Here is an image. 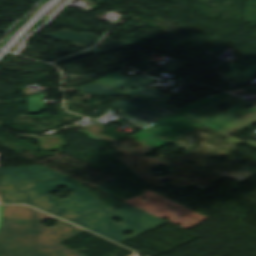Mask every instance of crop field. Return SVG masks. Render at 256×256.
Returning a JSON list of instances; mask_svg holds the SVG:
<instances>
[{"label":"crop field","instance_id":"8a807250","mask_svg":"<svg viewBox=\"0 0 256 256\" xmlns=\"http://www.w3.org/2000/svg\"><path fill=\"white\" fill-rule=\"evenodd\" d=\"M59 186H65L75 194L66 200L48 194ZM0 192L4 203L31 204L117 242L151 229L107 209V206L82 187V183L67 177L2 186ZM115 217L123 222H112L111 219ZM126 231H131V235L125 237L121 234Z\"/></svg>","mask_w":256,"mask_h":256},{"label":"crop field","instance_id":"ac0d7876","mask_svg":"<svg viewBox=\"0 0 256 256\" xmlns=\"http://www.w3.org/2000/svg\"><path fill=\"white\" fill-rule=\"evenodd\" d=\"M45 219L58 224L48 228ZM85 232L28 206H5L0 248L17 256H86L59 244Z\"/></svg>","mask_w":256,"mask_h":256},{"label":"crop field","instance_id":"34b2d1b8","mask_svg":"<svg viewBox=\"0 0 256 256\" xmlns=\"http://www.w3.org/2000/svg\"><path fill=\"white\" fill-rule=\"evenodd\" d=\"M225 136L207 127H203L191 134L174 142L180 149L187 154L180 160L195 161L194 165L202 167L214 174L231 168L239 162L231 159L223 164H218L210 160L211 157L228 156L235 152V145L222 140ZM256 174V161L232 168L219 176L245 181Z\"/></svg>","mask_w":256,"mask_h":256},{"label":"crop field","instance_id":"412701ff","mask_svg":"<svg viewBox=\"0 0 256 256\" xmlns=\"http://www.w3.org/2000/svg\"><path fill=\"white\" fill-rule=\"evenodd\" d=\"M112 148L116 149V152L123 155L121 157H118L119 160H121L128 168H130L137 176L143 179L146 183L154 185L155 188L165 186L160 183L162 180H171L170 185L175 188L186 189L191 186H194L203 191L211 187L213 183L221 179L202 169L188 172L158 158L143 157L140 155H136L117 145L113 146ZM158 165L167 168L170 174L155 177L151 171ZM181 177H186L188 178V180L184 182L180 180ZM192 182L197 183V185H192Z\"/></svg>","mask_w":256,"mask_h":256},{"label":"crop field","instance_id":"f4fd0767","mask_svg":"<svg viewBox=\"0 0 256 256\" xmlns=\"http://www.w3.org/2000/svg\"><path fill=\"white\" fill-rule=\"evenodd\" d=\"M226 103L232 105L233 109L223 113L219 112L217 107ZM250 105L247 102L229 96L186 116L229 136L231 130L238 126L256 123V107L249 110L245 109Z\"/></svg>","mask_w":256,"mask_h":256},{"label":"crop field","instance_id":"dd49c442","mask_svg":"<svg viewBox=\"0 0 256 256\" xmlns=\"http://www.w3.org/2000/svg\"><path fill=\"white\" fill-rule=\"evenodd\" d=\"M116 106L124 109L120 116L143 129L172 113L138 97L127 102L118 101Z\"/></svg>","mask_w":256,"mask_h":256},{"label":"crop field","instance_id":"e52e79f7","mask_svg":"<svg viewBox=\"0 0 256 256\" xmlns=\"http://www.w3.org/2000/svg\"><path fill=\"white\" fill-rule=\"evenodd\" d=\"M98 81H100V82H102V83H104V84L124 93V94L135 93V94H137L143 98H146L152 102L160 100V101H163L168 104L169 102H167V101L169 99H171V97H169V96H166L160 92H157L155 90H152V89L146 87L150 84H153L154 80L151 78H148L144 75L128 78V77L122 76L121 72H117V73H112L110 75H107ZM121 86L128 87V89L125 92L117 89ZM132 86H136L138 89L134 91L131 89Z\"/></svg>","mask_w":256,"mask_h":256},{"label":"crop field","instance_id":"d8731c3e","mask_svg":"<svg viewBox=\"0 0 256 256\" xmlns=\"http://www.w3.org/2000/svg\"><path fill=\"white\" fill-rule=\"evenodd\" d=\"M200 126L202 125L173 113L144 130L174 141Z\"/></svg>","mask_w":256,"mask_h":256},{"label":"crop field","instance_id":"5a996713","mask_svg":"<svg viewBox=\"0 0 256 256\" xmlns=\"http://www.w3.org/2000/svg\"><path fill=\"white\" fill-rule=\"evenodd\" d=\"M62 176L64 175L45 166H25L0 169V186Z\"/></svg>","mask_w":256,"mask_h":256},{"label":"crop field","instance_id":"3316defc","mask_svg":"<svg viewBox=\"0 0 256 256\" xmlns=\"http://www.w3.org/2000/svg\"><path fill=\"white\" fill-rule=\"evenodd\" d=\"M117 213H120L130 219H133L137 222H140L144 225H147L151 228H154L156 226L162 225L164 223H167L155 216H152L140 209H137L125 202H122L118 205H115L111 208H109Z\"/></svg>","mask_w":256,"mask_h":256},{"label":"crop field","instance_id":"28ad6ade","mask_svg":"<svg viewBox=\"0 0 256 256\" xmlns=\"http://www.w3.org/2000/svg\"><path fill=\"white\" fill-rule=\"evenodd\" d=\"M104 128H105V127H104L103 124L98 123V124H96L95 126L89 128V129H87V130H88V131H91V132H94V133H96V134L102 135V134H100V133L103 132ZM78 132L83 133V134H86V135H88L91 139L96 140V141H99V140H106V141H109V140H107V139H104V138L99 137V136H97V135H94V134H92V133H89V132H87V131H85V130H83V129L79 130ZM102 136L107 137V136H105V135H102ZM107 138H110V137H107ZM110 139H112V138H110ZM112 140H115V139H112ZM115 141H117V140H115ZM110 142H112V141H110ZM117 142H119V144H118L119 146H121V147H123V148H126V149H129V150H131V151L137 152V153H139V154H141V155H145V154H147V153H149V152H151V151H153V150H156V149H154V148H152V147H149V146H147V145H145V144H142V143H140V142H138V141H135V140H133V139H131V138H128V139H126V140H124V141H122V142H120V141H117ZM117 142H116V143H117ZM112 143H114V142H112ZM116 143H114V144H116Z\"/></svg>","mask_w":256,"mask_h":256},{"label":"crop field","instance_id":"d1516ede","mask_svg":"<svg viewBox=\"0 0 256 256\" xmlns=\"http://www.w3.org/2000/svg\"><path fill=\"white\" fill-rule=\"evenodd\" d=\"M47 37L74 41V42H78V43H82L90 46H93L100 39L88 32L77 34L69 29H66L51 35H47Z\"/></svg>","mask_w":256,"mask_h":256},{"label":"crop field","instance_id":"22f410ed","mask_svg":"<svg viewBox=\"0 0 256 256\" xmlns=\"http://www.w3.org/2000/svg\"><path fill=\"white\" fill-rule=\"evenodd\" d=\"M229 68L232 71L225 74V76L239 83H243L256 75V65L248 67L244 72L238 70L236 64H229Z\"/></svg>","mask_w":256,"mask_h":256},{"label":"crop field","instance_id":"cbeb9de0","mask_svg":"<svg viewBox=\"0 0 256 256\" xmlns=\"http://www.w3.org/2000/svg\"><path fill=\"white\" fill-rule=\"evenodd\" d=\"M131 138H133L135 140H138L142 143H145L149 146H152L156 149L170 143V142H168V141H166V140H164V139H162V138H160L156 135H153L149 132H146L144 130H142V131L136 133L135 135L131 136Z\"/></svg>","mask_w":256,"mask_h":256},{"label":"crop field","instance_id":"5142ce71","mask_svg":"<svg viewBox=\"0 0 256 256\" xmlns=\"http://www.w3.org/2000/svg\"><path fill=\"white\" fill-rule=\"evenodd\" d=\"M227 95H229V94L224 93V94H222V95H220V96H218V97L211 96V97H208V98H206V99H204V100H202V101H200V102H198V103H196V104H193V105H191V106H188V107H186V108H183V109H181V110H178V109H176V108H174V107H171V106H169V105H166V104H164V103H162V102H160V101H157V102H155V103H157V104H159V105H161V106H164V107H166V108H168V109H170V110H172V111H175V112H177V113H179V114H181V115H184V114H186V113H188V112H190V111H193V110H195V109H197V108H200V107H202V106H204V105H206V104H209V103H211V102H213V101H216V100H218V99H220V98H222V97H225V96H227Z\"/></svg>","mask_w":256,"mask_h":256},{"label":"crop field","instance_id":"d9b57169","mask_svg":"<svg viewBox=\"0 0 256 256\" xmlns=\"http://www.w3.org/2000/svg\"><path fill=\"white\" fill-rule=\"evenodd\" d=\"M17 137L36 138L39 140L42 148H44L46 150H57V149L65 146L64 141L62 139H59L61 136H55V137L17 136Z\"/></svg>","mask_w":256,"mask_h":256},{"label":"crop field","instance_id":"733c2abd","mask_svg":"<svg viewBox=\"0 0 256 256\" xmlns=\"http://www.w3.org/2000/svg\"><path fill=\"white\" fill-rule=\"evenodd\" d=\"M44 97H46L45 93L26 99L29 113H37L45 109V103L42 102Z\"/></svg>","mask_w":256,"mask_h":256},{"label":"crop field","instance_id":"4a817a6b","mask_svg":"<svg viewBox=\"0 0 256 256\" xmlns=\"http://www.w3.org/2000/svg\"><path fill=\"white\" fill-rule=\"evenodd\" d=\"M82 90L87 92L96 93L97 95H120V93L109 89L99 83L91 84L89 86H86L82 88Z\"/></svg>","mask_w":256,"mask_h":256},{"label":"crop field","instance_id":"bc2a9ffb","mask_svg":"<svg viewBox=\"0 0 256 256\" xmlns=\"http://www.w3.org/2000/svg\"><path fill=\"white\" fill-rule=\"evenodd\" d=\"M104 39H106L110 43L105 44V45H99L97 47L104 48V49L115 50V49H119V48H122V47L130 45V43L125 41V40L114 41V40H112L111 38H109L107 36Z\"/></svg>","mask_w":256,"mask_h":256},{"label":"crop field","instance_id":"214f88e0","mask_svg":"<svg viewBox=\"0 0 256 256\" xmlns=\"http://www.w3.org/2000/svg\"><path fill=\"white\" fill-rule=\"evenodd\" d=\"M158 157H159V158H162V159H164V160L170 161V162H172V163H175V164H177V165H179V166H181V167H183V168H185V169H187V170L196 169L195 166L186 164L184 161H180V160H178V159H173V158H170V157H167V156H163V155H160V156H158Z\"/></svg>","mask_w":256,"mask_h":256},{"label":"crop field","instance_id":"92a150f3","mask_svg":"<svg viewBox=\"0 0 256 256\" xmlns=\"http://www.w3.org/2000/svg\"><path fill=\"white\" fill-rule=\"evenodd\" d=\"M107 51H109V50H103V49L94 48V49H92V50H90V51H87V52H84V53H80V54L71 56V57H69V58L63 59V60H64V61H67V60L74 59V58H77V57H80V56H83V55H86V54H90V53H93V52L102 54V53H105V52H107Z\"/></svg>","mask_w":256,"mask_h":256},{"label":"crop field","instance_id":"dafd665d","mask_svg":"<svg viewBox=\"0 0 256 256\" xmlns=\"http://www.w3.org/2000/svg\"><path fill=\"white\" fill-rule=\"evenodd\" d=\"M227 138H228L227 141L232 142V143H234V144H237V143L241 142V143H243V144H245V145H247V146H250V147H253V148L256 149V142H254V141L243 142V141H241V140H239V139H236V138H234V137H232V136H229V137H227Z\"/></svg>","mask_w":256,"mask_h":256},{"label":"crop field","instance_id":"00972430","mask_svg":"<svg viewBox=\"0 0 256 256\" xmlns=\"http://www.w3.org/2000/svg\"><path fill=\"white\" fill-rule=\"evenodd\" d=\"M0 256H14V255L0 249Z\"/></svg>","mask_w":256,"mask_h":256},{"label":"crop field","instance_id":"a9b5d70f","mask_svg":"<svg viewBox=\"0 0 256 256\" xmlns=\"http://www.w3.org/2000/svg\"><path fill=\"white\" fill-rule=\"evenodd\" d=\"M73 46H74V47H78V48H83V49L89 48V46L78 45V44H75V45H73Z\"/></svg>","mask_w":256,"mask_h":256},{"label":"crop field","instance_id":"4177f3b9","mask_svg":"<svg viewBox=\"0 0 256 256\" xmlns=\"http://www.w3.org/2000/svg\"><path fill=\"white\" fill-rule=\"evenodd\" d=\"M247 90H254L256 92V87H253V88H249Z\"/></svg>","mask_w":256,"mask_h":256},{"label":"crop field","instance_id":"730fd06b","mask_svg":"<svg viewBox=\"0 0 256 256\" xmlns=\"http://www.w3.org/2000/svg\"><path fill=\"white\" fill-rule=\"evenodd\" d=\"M133 256H137V254L136 253H134V255Z\"/></svg>","mask_w":256,"mask_h":256},{"label":"crop field","instance_id":"eef30255","mask_svg":"<svg viewBox=\"0 0 256 256\" xmlns=\"http://www.w3.org/2000/svg\"><path fill=\"white\" fill-rule=\"evenodd\" d=\"M0 210H1V206H0Z\"/></svg>","mask_w":256,"mask_h":256},{"label":"crop field","instance_id":"ae1a2a85","mask_svg":"<svg viewBox=\"0 0 256 256\" xmlns=\"http://www.w3.org/2000/svg\"><path fill=\"white\" fill-rule=\"evenodd\" d=\"M1 203V202H0Z\"/></svg>","mask_w":256,"mask_h":256}]
</instances>
